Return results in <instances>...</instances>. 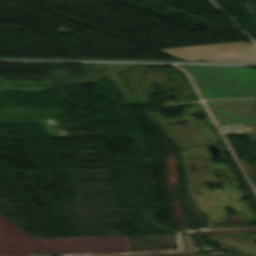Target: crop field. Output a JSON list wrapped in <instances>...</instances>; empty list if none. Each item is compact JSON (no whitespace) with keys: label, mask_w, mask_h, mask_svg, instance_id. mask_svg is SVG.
<instances>
[{"label":"crop field","mask_w":256,"mask_h":256,"mask_svg":"<svg viewBox=\"0 0 256 256\" xmlns=\"http://www.w3.org/2000/svg\"><path fill=\"white\" fill-rule=\"evenodd\" d=\"M204 98L256 96V70L242 67L187 66Z\"/></svg>","instance_id":"8a807250"},{"label":"crop field","mask_w":256,"mask_h":256,"mask_svg":"<svg viewBox=\"0 0 256 256\" xmlns=\"http://www.w3.org/2000/svg\"><path fill=\"white\" fill-rule=\"evenodd\" d=\"M248 47H252V45H248L243 42H234V43H222V44L201 45V46L177 47V48L164 49L159 51H162L169 55H180V54L223 51V50L240 49V48H248Z\"/></svg>","instance_id":"ac0d7876"}]
</instances>
